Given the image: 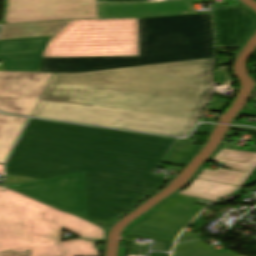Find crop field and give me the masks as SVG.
<instances>
[{
	"instance_id": "obj_15",
	"label": "crop field",
	"mask_w": 256,
	"mask_h": 256,
	"mask_svg": "<svg viewBox=\"0 0 256 256\" xmlns=\"http://www.w3.org/2000/svg\"><path fill=\"white\" fill-rule=\"evenodd\" d=\"M196 200L208 202V200L177 194L156 208L157 210L166 213L194 217L203 208L193 205Z\"/></svg>"
},
{
	"instance_id": "obj_4",
	"label": "crop field",
	"mask_w": 256,
	"mask_h": 256,
	"mask_svg": "<svg viewBox=\"0 0 256 256\" xmlns=\"http://www.w3.org/2000/svg\"><path fill=\"white\" fill-rule=\"evenodd\" d=\"M61 228L102 239L104 230L71 214L0 186V252L30 250V256H97L92 242H61Z\"/></svg>"
},
{
	"instance_id": "obj_27",
	"label": "crop field",
	"mask_w": 256,
	"mask_h": 256,
	"mask_svg": "<svg viewBox=\"0 0 256 256\" xmlns=\"http://www.w3.org/2000/svg\"><path fill=\"white\" fill-rule=\"evenodd\" d=\"M100 2H110V1H121V2H136V1H145V0H99Z\"/></svg>"
},
{
	"instance_id": "obj_3",
	"label": "crop field",
	"mask_w": 256,
	"mask_h": 256,
	"mask_svg": "<svg viewBox=\"0 0 256 256\" xmlns=\"http://www.w3.org/2000/svg\"><path fill=\"white\" fill-rule=\"evenodd\" d=\"M101 19L137 18L139 66L214 57L208 13L189 0L99 4Z\"/></svg>"
},
{
	"instance_id": "obj_29",
	"label": "crop field",
	"mask_w": 256,
	"mask_h": 256,
	"mask_svg": "<svg viewBox=\"0 0 256 256\" xmlns=\"http://www.w3.org/2000/svg\"><path fill=\"white\" fill-rule=\"evenodd\" d=\"M256 169V168H255Z\"/></svg>"
},
{
	"instance_id": "obj_5",
	"label": "crop field",
	"mask_w": 256,
	"mask_h": 256,
	"mask_svg": "<svg viewBox=\"0 0 256 256\" xmlns=\"http://www.w3.org/2000/svg\"><path fill=\"white\" fill-rule=\"evenodd\" d=\"M138 66L136 19L70 21L50 39L39 72Z\"/></svg>"
},
{
	"instance_id": "obj_14",
	"label": "crop field",
	"mask_w": 256,
	"mask_h": 256,
	"mask_svg": "<svg viewBox=\"0 0 256 256\" xmlns=\"http://www.w3.org/2000/svg\"><path fill=\"white\" fill-rule=\"evenodd\" d=\"M235 188V186L195 178L190 186L180 194L215 200Z\"/></svg>"
},
{
	"instance_id": "obj_11",
	"label": "crop field",
	"mask_w": 256,
	"mask_h": 256,
	"mask_svg": "<svg viewBox=\"0 0 256 256\" xmlns=\"http://www.w3.org/2000/svg\"><path fill=\"white\" fill-rule=\"evenodd\" d=\"M191 219L153 211L145 220L130 228L127 233L173 243L176 235Z\"/></svg>"
},
{
	"instance_id": "obj_24",
	"label": "crop field",
	"mask_w": 256,
	"mask_h": 256,
	"mask_svg": "<svg viewBox=\"0 0 256 256\" xmlns=\"http://www.w3.org/2000/svg\"><path fill=\"white\" fill-rule=\"evenodd\" d=\"M256 182V170H253L247 180L243 183L242 186L248 185L250 183Z\"/></svg>"
},
{
	"instance_id": "obj_2",
	"label": "crop field",
	"mask_w": 256,
	"mask_h": 256,
	"mask_svg": "<svg viewBox=\"0 0 256 256\" xmlns=\"http://www.w3.org/2000/svg\"><path fill=\"white\" fill-rule=\"evenodd\" d=\"M213 59L54 73L32 116L183 136L208 98L200 94L211 87Z\"/></svg>"
},
{
	"instance_id": "obj_1",
	"label": "crop field",
	"mask_w": 256,
	"mask_h": 256,
	"mask_svg": "<svg viewBox=\"0 0 256 256\" xmlns=\"http://www.w3.org/2000/svg\"><path fill=\"white\" fill-rule=\"evenodd\" d=\"M173 141L30 119L6 164L7 185L86 171L88 217L106 225L165 183L151 173Z\"/></svg>"
},
{
	"instance_id": "obj_26",
	"label": "crop field",
	"mask_w": 256,
	"mask_h": 256,
	"mask_svg": "<svg viewBox=\"0 0 256 256\" xmlns=\"http://www.w3.org/2000/svg\"><path fill=\"white\" fill-rule=\"evenodd\" d=\"M230 62V57L228 58H218V64L219 65H224Z\"/></svg>"
},
{
	"instance_id": "obj_23",
	"label": "crop field",
	"mask_w": 256,
	"mask_h": 256,
	"mask_svg": "<svg viewBox=\"0 0 256 256\" xmlns=\"http://www.w3.org/2000/svg\"><path fill=\"white\" fill-rule=\"evenodd\" d=\"M211 130H212L211 127L198 125V127H197V129L195 130L194 133L205 134V133H210Z\"/></svg>"
},
{
	"instance_id": "obj_7",
	"label": "crop field",
	"mask_w": 256,
	"mask_h": 256,
	"mask_svg": "<svg viewBox=\"0 0 256 256\" xmlns=\"http://www.w3.org/2000/svg\"><path fill=\"white\" fill-rule=\"evenodd\" d=\"M7 187L60 209L87 217L85 173L83 172Z\"/></svg>"
},
{
	"instance_id": "obj_28",
	"label": "crop field",
	"mask_w": 256,
	"mask_h": 256,
	"mask_svg": "<svg viewBox=\"0 0 256 256\" xmlns=\"http://www.w3.org/2000/svg\"><path fill=\"white\" fill-rule=\"evenodd\" d=\"M212 91H213V84H212L211 89L204 90L202 95L209 96Z\"/></svg>"
},
{
	"instance_id": "obj_21",
	"label": "crop field",
	"mask_w": 256,
	"mask_h": 256,
	"mask_svg": "<svg viewBox=\"0 0 256 256\" xmlns=\"http://www.w3.org/2000/svg\"><path fill=\"white\" fill-rule=\"evenodd\" d=\"M228 102H229V99L213 98L207 109L215 110V111H222Z\"/></svg>"
},
{
	"instance_id": "obj_6",
	"label": "crop field",
	"mask_w": 256,
	"mask_h": 256,
	"mask_svg": "<svg viewBox=\"0 0 256 256\" xmlns=\"http://www.w3.org/2000/svg\"><path fill=\"white\" fill-rule=\"evenodd\" d=\"M97 18L96 0H4L1 24Z\"/></svg>"
},
{
	"instance_id": "obj_16",
	"label": "crop field",
	"mask_w": 256,
	"mask_h": 256,
	"mask_svg": "<svg viewBox=\"0 0 256 256\" xmlns=\"http://www.w3.org/2000/svg\"><path fill=\"white\" fill-rule=\"evenodd\" d=\"M225 251V250H224ZM223 254L216 252L202 241L177 244L173 256H240L229 250Z\"/></svg>"
},
{
	"instance_id": "obj_13",
	"label": "crop field",
	"mask_w": 256,
	"mask_h": 256,
	"mask_svg": "<svg viewBox=\"0 0 256 256\" xmlns=\"http://www.w3.org/2000/svg\"><path fill=\"white\" fill-rule=\"evenodd\" d=\"M26 119L0 114V163H4Z\"/></svg>"
},
{
	"instance_id": "obj_22",
	"label": "crop field",
	"mask_w": 256,
	"mask_h": 256,
	"mask_svg": "<svg viewBox=\"0 0 256 256\" xmlns=\"http://www.w3.org/2000/svg\"><path fill=\"white\" fill-rule=\"evenodd\" d=\"M0 256H29V251H26L20 254H17L13 251H7V252L0 253Z\"/></svg>"
},
{
	"instance_id": "obj_8",
	"label": "crop field",
	"mask_w": 256,
	"mask_h": 256,
	"mask_svg": "<svg viewBox=\"0 0 256 256\" xmlns=\"http://www.w3.org/2000/svg\"><path fill=\"white\" fill-rule=\"evenodd\" d=\"M52 74L0 72V111L31 116Z\"/></svg>"
},
{
	"instance_id": "obj_9",
	"label": "crop field",
	"mask_w": 256,
	"mask_h": 256,
	"mask_svg": "<svg viewBox=\"0 0 256 256\" xmlns=\"http://www.w3.org/2000/svg\"><path fill=\"white\" fill-rule=\"evenodd\" d=\"M216 48L236 47L256 25V16L236 6L213 7Z\"/></svg>"
},
{
	"instance_id": "obj_12",
	"label": "crop field",
	"mask_w": 256,
	"mask_h": 256,
	"mask_svg": "<svg viewBox=\"0 0 256 256\" xmlns=\"http://www.w3.org/2000/svg\"><path fill=\"white\" fill-rule=\"evenodd\" d=\"M69 21L3 26L0 40L55 35Z\"/></svg>"
},
{
	"instance_id": "obj_18",
	"label": "crop field",
	"mask_w": 256,
	"mask_h": 256,
	"mask_svg": "<svg viewBox=\"0 0 256 256\" xmlns=\"http://www.w3.org/2000/svg\"><path fill=\"white\" fill-rule=\"evenodd\" d=\"M213 160L251 168L256 163V153L221 149Z\"/></svg>"
},
{
	"instance_id": "obj_20",
	"label": "crop field",
	"mask_w": 256,
	"mask_h": 256,
	"mask_svg": "<svg viewBox=\"0 0 256 256\" xmlns=\"http://www.w3.org/2000/svg\"><path fill=\"white\" fill-rule=\"evenodd\" d=\"M216 79L220 85H227L229 82H233L227 73V66L216 67Z\"/></svg>"
},
{
	"instance_id": "obj_10",
	"label": "crop field",
	"mask_w": 256,
	"mask_h": 256,
	"mask_svg": "<svg viewBox=\"0 0 256 256\" xmlns=\"http://www.w3.org/2000/svg\"><path fill=\"white\" fill-rule=\"evenodd\" d=\"M51 37L0 41V60H5L4 71L38 72L41 55Z\"/></svg>"
},
{
	"instance_id": "obj_25",
	"label": "crop field",
	"mask_w": 256,
	"mask_h": 256,
	"mask_svg": "<svg viewBox=\"0 0 256 256\" xmlns=\"http://www.w3.org/2000/svg\"><path fill=\"white\" fill-rule=\"evenodd\" d=\"M224 167H228V168H233V169H237V170H242V171H246L248 172L249 169L248 168H244V167H239V166H235V165H230V164H223Z\"/></svg>"
},
{
	"instance_id": "obj_17",
	"label": "crop field",
	"mask_w": 256,
	"mask_h": 256,
	"mask_svg": "<svg viewBox=\"0 0 256 256\" xmlns=\"http://www.w3.org/2000/svg\"><path fill=\"white\" fill-rule=\"evenodd\" d=\"M199 148L200 146L198 145L191 146L186 143L175 142L164 158L163 163L185 165Z\"/></svg>"
},
{
	"instance_id": "obj_19",
	"label": "crop field",
	"mask_w": 256,
	"mask_h": 256,
	"mask_svg": "<svg viewBox=\"0 0 256 256\" xmlns=\"http://www.w3.org/2000/svg\"><path fill=\"white\" fill-rule=\"evenodd\" d=\"M245 175L244 173L218 168L215 171L204 169L197 177L238 186Z\"/></svg>"
}]
</instances>
